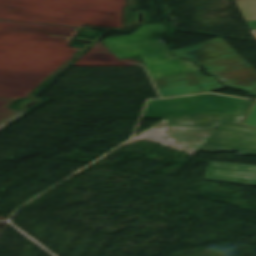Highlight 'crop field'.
<instances>
[{"mask_svg": "<svg viewBox=\"0 0 256 256\" xmlns=\"http://www.w3.org/2000/svg\"><path fill=\"white\" fill-rule=\"evenodd\" d=\"M252 103L214 94L150 100L143 118H168L174 126L217 128L222 121L241 124Z\"/></svg>", "mask_w": 256, "mask_h": 256, "instance_id": "crop-field-1", "label": "crop field"}, {"mask_svg": "<svg viewBox=\"0 0 256 256\" xmlns=\"http://www.w3.org/2000/svg\"><path fill=\"white\" fill-rule=\"evenodd\" d=\"M162 32V25H141L132 35L104 42L118 58L141 55L153 79L200 71L194 64L166 54V46L160 39Z\"/></svg>", "mask_w": 256, "mask_h": 256, "instance_id": "crop-field-2", "label": "crop field"}, {"mask_svg": "<svg viewBox=\"0 0 256 256\" xmlns=\"http://www.w3.org/2000/svg\"><path fill=\"white\" fill-rule=\"evenodd\" d=\"M199 151H239L240 156L256 155V129L222 122Z\"/></svg>", "mask_w": 256, "mask_h": 256, "instance_id": "crop-field-3", "label": "crop field"}, {"mask_svg": "<svg viewBox=\"0 0 256 256\" xmlns=\"http://www.w3.org/2000/svg\"><path fill=\"white\" fill-rule=\"evenodd\" d=\"M154 82L162 97L225 89L213 77H205L201 72L155 79Z\"/></svg>", "mask_w": 256, "mask_h": 256, "instance_id": "crop-field-4", "label": "crop field"}, {"mask_svg": "<svg viewBox=\"0 0 256 256\" xmlns=\"http://www.w3.org/2000/svg\"><path fill=\"white\" fill-rule=\"evenodd\" d=\"M203 179L256 185V166L210 161Z\"/></svg>", "mask_w": 256, "mask_h": 256, "instance_id": "crop-field-5", "label": "crop field"}]
</instances>
